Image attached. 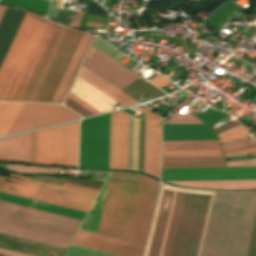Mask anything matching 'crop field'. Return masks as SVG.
<instances>
[{
  "label": "crop field",
  "instance_id": "crop-field-1",
  "mask_svg": "<svg viewBox=\"0 0 256 256\" xmlns=\"http://www.w3.org/2000/svg\"><path fill=\"white\" fill-rule=\"evenodd\" d=\"M56 27L26 13L0 67V100L21 101ZM61 27H57L22 100H52L82 36Z\"/></svg>",
  "mask_w": 256,
  "mask_h": 256
},
{
  "label": "crop field",
  "instance_id": "crop-field-2",
  "mask_svg": "<svg viewBox=\"0 0 256 256\" xmlns=\"http://www.w3.org/2000/svg\"><path fill=\"white\" fill-rule=\"evenodd\" d=\"M110 174L80 229L96 233ZM141 176L111 173L98 234L126 240ZM160 183L142 177L127 241L145 245Z\"/></svg>",
  "mask_w": 256,
  "mask_h": 256
},
{
  "label": "crop field",
  "instance_id": "crop-field-3",
  "mask_svg": "<svg viewBox=\"0 0 256 256\" xmlns=\"http://www.w3.org/2000/svg\"><path fill=\"white\" fill-rule=\"evenodd\" d=\"M213 194L162 185L145 256H199Z\"/></svg>",
  "mask_w": 256,
  "mask_h": 256
},
{
  "label": "crop field",
  "instance_id": "crop-field-4",
  "mask_svg": "<svg viewBox=\"0 0 256 256\" xmlns=\"http://www.w3.org/2000/svg\"><path fill=\"white\" fill-rule=\"evenodd\" d=\"M256 193L215 192L200 256H245ZM256 256V216L246 252Z\"/></svg>",
  "mask_w": 256,
  "mask_h": 256
},
{
  "label": "crop field",
  "instance_id": "crop-field-5",
  "mask_svg": "<svg viewBox=\"0 0 256 256\" xmlns=\"http://www.w3.org/2000/svg\"><path fill=\"white\" fill-rule=\"evenodd\" d=\"M0 220L73 237L81 221L0 201ZM0 221V232L67 248L71 238Z\"/></svg>",
  "mask_w": 256,
  "mask_h": 256
},
{
  "label": "crop field",
  "instance_id": "crop-field-6",
  "mask_svg": "<svg viewBox=\"0 0 256 256\" xmlns=\"http://www.w3.org/2000/svg\"><path fill=\"white\" fill-rule=\"evenodd\" d=\"M128 114H111L109 169H126ZM145 115L140 117L139 171L143 172ZM159 121L146 115L144 172L157 177ZM139 119L135 118L133 170L138 171Z\"/></svg>",
  "mask_w": 256,
  "mask_h": 256
},
{
  "label": "crop field",
  "instance_id": "crop-field-7",
  "mask_svg": "<svg viewBox=\"0 0 256 256\" xmlns=\"http://www.w3.org/2000/svg\"><path fill=\"white\" fill-rule=\"evenodd\" d=\"M10 177L25 180L27 182L9 178L19 184L7 182V177L0 176V192L37 201L55 204L87 212L98 190L64 182L62 186L20 177L10 174Z\"/></svg>",
  "mask_w": 256,
  "mask_h": 256
},
{
  "label": "crop field",
  "instance_id": "crop-field-8",
  "mask_svg": "<svg viewBox=\"0 0 256 256\" xmlns=\"http://www.w3.org/2000/svg\"><path fill=\"white\" fill-rule=\"evenodd\" d=\"M22 105L0 102V136H6ZM78 118L62 105L24 103L7 136Z\"/></svg>",
  "mask_w": 256,
  "mask_h": 256
},
{
  "label": "crop field",
  "instance_id": "crop-field-9",
  "mask_svg": "<svg viewBox=\"0 0 256 256\" xmlns=\"http://www.w3.org/2000/svg\"><path fill=\"white\" fill-rule=\"evenodd\" d=\"M78 121L37 131L36 163L77 167Z\"/></svg>",
  "mask_w": 256,
  "mask_h": 256
},
{
  "label": "crop field",
  "instance_id": "crop-field-10",
  "mask_svg": "<svg viewBox=\"0 0 256 256\" xmlns=\"http://www.w3.org/2000/svg\"><path fill=\"white\" fill-rule=\"evenodd\" d=\"M214 173H256V168H196L165 169L164 174H214ZM256 178V174H214V175H164V180L190 179H242ZM175 185L210 189H256V179L243 180H190L166 181Z\"/></svg>",
  "mask_w": 256,
  "mask_h": 256
},
{
  "label": "crop field",
  "instance_id": "crop-field-11",
  "mask_svg": "<svg viewBox=\"0 0 256 256\" xmlns=\"http://www.w3.org/2000/svg\"><path fill=\"white\" fill-rule=\"evenodd\" d=\"M110 114L81 121L79 167L108 169Z\"/></svg>",
  "mask_w": 256,
  "mask_h": 256
},
{
  "label": "crop field",
  "instance_id": "crop-field-12",
  "mask_svg": "<svg viewBox=\"0 0 256 256\" xmlns=\"http://www.w3.org/2000/svg\"><path fill=\"white\" fill-rule=\"evenodd\" d=\"M93 47L83 66L119 90L140 77Z\"/></svg>",
  "mask_w": 256,
  "mask_h": 256
},
{
  "label": "crop field",
  "instance_id": "crop-field-13",
  "mask_svg": "<svg viewBox=\"0 0 256 256\" xmlns=\"http://www.w3.org/2000/svg\"><path fill=\"white\" fill-rule=\"evenodd\" d=\"M72 244L119 256H142L145 247L81 230H78Z\"/></svg>",
  "mask_w": 256,
  "mask_h": 256
},
{
  "label": "crop field",
  "instance_id": "crop-field-14",
  "mask_svg": "<svg viewBox=\"0 0 256 256\" xmlns=\"http://www.w3.org/2000/svg\"><path fill=\"white\" fill-rule=\"evenodd\" d=\"M70 93L101 113L113 110L111 105L118 104L80 77H77Z\"/></svg>",
  "mask_w": 256,
  "mask_h": 256
},
{
  "label": "crop field",
  "instance_id": "crop-field-15",
  "mask_svg": "<svg viewBox=\"0 0 256 256\" xmlns=\"http://www.w3.org/2000/svg\"><path fill=\"white\" fill-rule=\"evenodd\" d=\"M93 38L94 36L92 35L83 34V37L51 103L63 102Z\"/></svg>",
  "mask_w": 256,
  "mask_h": 256
},
{
  "label": "crop field",
  "instance_id": "crop-field-16",
  "mask_svg": "<svg viewBox=\"0 0 256 256\" xmlns=\"http://www.w3.org/2000/svg\"><path fill=\"white\" fill-rule=\"evenodd\" d=\"M163 140H218L205 125H163Z\"/></svg>",
  "mask_w": 256,
  "mask_h": 256
},
{
  "label": "crop field",
  "instance_id": "crop-field-17",
  "mask_svg": "<svg viewBox=\"0 0 256 256\" xmlns=\"http://www.w3.org/2000/svg\"><path fill=\"white\" fill-rule=\"evenodd\" d=\"M227 167L223 157L163 158L162 168Z\"/></svg>",
  "mask_w": 256,
  "mask_h": 256
},
{
  "label": "crop field",
  "instance_id": "crop-field-18",
  "mask_svg": "<svg viewBox=\"0 0 256 256\" xmlns=\"http://www.w3.org/2000/svg\"><path fill=\"white\" fill-rule=\"evenodd\" d=\"M78 76H80L87 82L91 83L92 85H94L95 87H97L98 89H100L101 91H103L104 93H106L107 95L117 100L118 102H120L126 107L134 104H138L137 101L125 95L124 93L120 92L119 90H117L116 88H114L113 86L105 82L104 80H102L100 77H98L97 75H95L94 73L86 69L85 67H82Z\"/></svg>",
  "mask_w": 256,
  "mask_h": 256
},
{
  "label": "crop field",
  "instance_id": "crop-field-19",
  "mask_svg": "<svg viewBox=\"0 0 256 256\" xmlns=\"http://www.w3.org/2000/svg\"><path fill=\"white\" fill-rule=\"evenodd\" d=\"M36 131L18 136L17 162L35 163Z\"/></svg>",
  "mask_w": 256,
  "mask_h": 256
},
{
  "label": "crop field",
  "instance_id": "crop-field-20",
  "mask_svg": "<svg viewBox=\"0 0 256 256\" xmlns=\"http://www.w3.org/2000/svg\"><path fill=\"white\" fill-rule=\"evenodd\" d=\"M163 150H221L218 141H163Z\"/></svg>",
  "mask_w": 256,
  "mask_h": 256
},
{
  "label": "crop field",
  "instance_id": "crop-field-21",
  "mask_svg": "<svg viewBox=\"0 0 256 256\" xmlns=\"http://www.w3.org/2000/svg\"><path fill=\"white\" fill-rule=\"evenodd\" d=\"M122 92L128 94L132 98H137L141 94H146L149 97L155 99L157 97H160L162 95H166L164 92L153 86L152 84L146 82L141 77L126 86L121 90Z\"/></svg>",
  "mask_w": 256,
  "mask_h": 256
},
{
  "label": "crop field",
  "instance_id": "crop-field-22",
  "mask_svg": "<svg viewBox=\"0 0 256 256\" xmlns=\"http://www.w3.org/2000/svg\"><path fill=\"white\" fill-rule=\"evenodd\" d=\"M47 1L50 2L51 0H47ZM47 1L45 0H0V3L26 7L28 9H31L46 15L49 4H50Z\"/></svg>",
  "mask_w": 256,
  "mask_h": 256
},
{
  "label": "crop field",
  "instance_id": "crop-field-23",
  "mask_svg": "<svg viewBox=\"0 0 256 256\" xmlns=\"http://www.w3.org/2000/svg\"><path fill=\"white\" fill-rule=\"evenodd\" d=\"M6 167L11 170L22 172V173H33V172L59 173V171L61 170V168L31 167V166H17V165H6Z\"/></svg>",
  "mask_w": 256,
  "mask_h": 256
},
{
  "label": "crop field",
  "instance_id": "crop-field-24",
  "mask_svg": "<svg viewBox=\"0 0 256 256\" xmlns=\"http://www.w3.org/2000/svg\"><path fill=\"white\" fill-rule=\"evenodd\" d=\"M65 256H114V255L70 245Z\"/></svg>",
  "mask_w": 256,
  "mask_h": 256
},
{
  "label": "crop field",
  "instance_id": "crop-field-25",
  "mask_svg": "<svg viewBox=\"0 0 256 256\" xmlns=\"http://www.w3.org/2000/svg\"><path fill=\"white\" fill-rule=\"evenodd\" d=\"M185 120V121H183ZM165 124H203L192 115L172 116L169 117Z\"/></svg>",
  "mask_w": 256,
  "mask_h": 256
},
{
  "label": "crop field",
  "instance_id": "crop-field-26",
  "mask_svg": "<svg viewBox=\"0 0 256 256\" xmlns=\"http://www.w3.org/2000/svg\"><path fill=\"white\" fill-rule=\"evenodd\" d=\"M254 144H255V142H254L253 138H250V139L222 145L221 147H222V150L225 151V150L235 149V148H239V147L254 145Z\"/></svg>",
  "mask_w": 256,
  "mask_h": 256
},
{
  "label": "crop field",
  "instance_id": "crop-field-27",
  "mask_svg": "<svg viewBox=\"0 0 256 256\" xmlns=\"http://www.w3.org/2000/svg\"><path fill=\"white\" fill-rule=\"evenodd\" d=\"M65 106H67L68 108L72 109L73 111H75L76 113L80 114L81 116L85 117V116H89V115H93L91 112L87 111L86 109H84L83 107L79 106L78 104H76L75 102L71 101L70 99H67Z\"/></svg>",
  "mask_w": 256,
  "mask_h": 256
},
{
  "label": "crop field",
  "instance_id": "crop-field-28",
  "mask_svg": "<svg viewBox=\"0 0 256 256\" xmlns=\"http://www.w3.org/2000/svg\"><path fill=\"white\" fill-rule=\"evenodd\" d=\"M222 113L223 112L216 111V110L210 108V109L206 110L205 112H203L202 114H200L197 117L200 118L202 121H204L206 123V122L212 120L213 118L217 117L218 115H220Z\"/></svg>",
  "mask_w": 256,
  "mask_h": 256
},
{
  "label": "crop field",
  "instance_id": "crop-field-29",
  "mask_svg": "<svg viewBox=\"0 0 256 256\" xmlns=\"http://www.w3.org/2000/svg\"><path fill=\"white\" fill-rule=\"evenodd\" d=\"M245 137H249V134L245 130H243V131L234 133L232 135L220 138L219 140H220V143L222 144V143L234 141V140L245 138Z\"/></svg>",
  "mask_w": 256,
  "mask_h": 256
},
{
  "label": "crop field",
  "instance_id": "crop-field-30",
  "mask_svg": "<svg viewBox=\"0 0 256 256\" xmlns=\"http://www.w3.org/2000/svg\"><path fill=\"white\" fill-rule=\"evenodd\" d=\"M228 166H256V159L227 162Z\"/></svg>",
  "mask_w": 256,
  "mask_h": 256
},
{
  "label": "crop field",
  "instance_id": "crop-field-31",
  "mask_svg": "<svg viewBox=\"0 0 256 256\" xmlns=\"http://www.w3.org/2000/svg\"><path fill=\"white\" fill-rule=\"evenodd\" d=\"M222 153L221 151H163V154Z\"/></svg>",
  "mask_w": 256,
  "mask_h": 256
},
{
  "label": "crop field",
  "instance_id": "crop-field-32",
  "mask_svg": "<svg viewBox=\"0 0 256 256\" xmlns=\"http://www.w3.org/2000/svg\"><path fill=\"white\" fill-rule=\"evenodd\" d=\"M71 12L72 11L60 9L57 20L67 24L69 17L71 15Z\"/></svg>",
  "mask_w": 256,
  "mask_h": 256
},
{
  "label": "crop field",
  "instance_id": "crop-field-33",
  "mask_svg": "<svg viewBox=\"0 0 256 256\" xmlns=\"http://www.w3.org/2000/svg\"><path fill=\"white\" fill-rule=\"evenodd\" d=\"M68 98H70L71 100L75 101L76 103H78L79 105L83 106L84 108H86L87 110L91 111L94 114H98L99 113L98 111H96L95 109H93L89 105L85 104L84 102H82L81 100H79L78 98L73 96L72 94H69Z\"/></svg>",
  "mask_w": 256,
  "mask_h": 256
},
{
  "label": "crop field",
  "instance_id": "crop-field-34",
  "mask_svg": "<svg viewBox=\"0 0 256 256\" xmlns=\"http://www.w3.org/2000/svg\"><path fill=\"white\" fill-rule=\"evenodd\" d=\"M150 82H152L153 84H155V85H157L158 87H163V86H165V85H167V84H169V83H171V82H169L167 79H165L164 77H162V76H157L155 79H153L152 81H150Z\"/></svg>",
  "mask_w": 256,
  "mask_h": 256
},
{
  "label": "crop field",
  "instance_id": "crop-field-35",
  "mask_svg": "<svg viewBox=\"0 0 256 256\" xmlns=\"http://www.w3.org/2000/svg\"><path fill=\"white\" fill-rule=\"evenodd\" d=\"M223 156L222 154L163 155V157Z\"/></svg>",
  "mask_w": 256,
  "mask_h": 256
},
{
  "label": "crop field",
  "instance_id": "crop-field-36",
  "mask_svg": "<svg viewBox=\"0 0 256 256\" xmlns=\"http://www.w3.org/2000/svg\"><path fill=\"white\" fill-rule=\"evenodd\" d=\"M237 125H239V123H238L237 120H236V121H234V122H232V123L226 125L225 127L221 128V129H219V130H217L216 132H217V134H219V133H221V132H223V131H226V130H228V129L232 128V127H235V126H237Z\"/></svg>",
  "mask_w": 256,
  "mask_h": 256
},
{
  "label": "crop field",
  "instance_id": "crop-field-37",
  "mask_svg": "<svg viewBox=\"0 0 256 256\" xmlns=\"http://www.w3.org/2000/svg\"><path fill=\"white\" fill-rule=\"evenodd\" d=\"M228 116H229V115H227V114L224 113V114L218 116L217 118L213 119L212 121H210V122H208V123H206V124H208L209 126H211V125H213V124L219 122L220 120H222V119H224V118H226V117H228Z\"/></svg>",
  "mask_w": 256,
  "mask_h": 256
},
{
  "label": "crop field",
  "instance_id": "crop-field-38",
  "mask_svg": "<svg viewBox=\"0 0 256 256\" xmlns=\"http://www.w3.org/2000/svg\"><path fill=\"white\" fill-rule=\"evenodd\" d=\"M193 96H189L183 103H181L175 110L174 114H177L191 99Z\"/></svg>",
  "mask_w": 256,
  "mask_h": 256
},
{
  "label": "crop field",
  "instance_id": "crop-field-39",
  "mask_svg": "<svg viewBox=\"0 0 256 256\" xmlns=\"http://www.w3.org/2000/svg\"><path fill=\"white\" fill-rule=\"evenodd\" d=\"M0 253L10 255V256H28V255H23V254H19V253L7 251V250H2V249H0Z\"/></svg>",
  "mask_w": 256,
  "mask_h": 256
},
{
  "label": "crop field",
  "instance_id": "crop-field-40",
  "mask_svg": "<svg viewBox=\"0 0 256 256\" xmlns=\"http://www.w3.org/2000/svg\"><path fill=\"white\" fill-rule=\"evenodd\" d=\"M81 16H82V12H77V15H76V18L74 20V23H73V26L75 27H79V23H80V20H81Z\"/></svg>",
  "mask_w": 256,
  "mask_h": 256
},
{
  "label": "crop field",
  "instance_id": "crop-field-41",
  "mask_svg": "<svg viewBox=\"0 0 256 256\" xmlns=\"http://www.w3.org/2000/svg\"><path fill=\"white\" fill-rule=\"evenodd\" d=\"M251 148H256V145L249 146V147H244V148H240V149H235V150H230V151H225L223 153L226 154V153H231V152H236V151H241V150H246V149H251Z\"/></svg>",
  "mask_w": 256,
  "mask_h": 256
},
{
  "label": "crop field",
  "instance_id": "crop-field-42",
  "mask_svg": "<svg viewBox=\"0 0 256 256\" xmlns=\"http://www.w3.org/2000/svg\"><path fill=\"white\" fill-rule=\"evenodd\" d=\"M249 152H256V149H251V150H246V151H241V152L226 154V155H224V156L235 155V154H242V153H249Z\"/></svg>",
  "mask_w": 256,
  "mask_h": 256
},
{
  "label": "crop field",
  "instance_id": "crop-field-43",
  "mask_svg": "<svg viewBox=\"0 0 256 256\" xmlns=\"http://www.w3.org/2000/svg\"><path fill=\"white\" fill-rule=\"evenodd\" d=\"M5 11H6L5 7H0V21H1L2 17H3V15H4Z\"/></svg>",
  "mask_w": 256,
  "mask_h": 256
},
{
  "label": "crop field",
  "instance_id": "crop-field-44",
  "mask_svg": "<svg viewBox=\"0 0 256 256\" xmlns=\"http://www.w3.org/2000/svg\"><path fill=\"white\" fill-rule=\"evenodd\" d=\"M86 25L101 27V25H102V24L87 22V24H86Z\"/></svg>",
  "mask_w": 256,
  "mask_h": 256
},
{
  "label": "crop field",
  "instance_id": "crop-field-45",
  "mask_svg": "<svg viewBox=\"0 0 256 256\" xmlns=\"http://www.w3.org/2000/svg\"><path fill=\"white\" fill-rule=\"evenodd\" d=\"M240 130H243V127L239 128V129H237V130H234V131H232V132H229V133H227V134H225V135H222V136H220V137L229 135V134H231V133H234V132H237V131H240ZM220 137H219V138H220Z\"/></svg>",
  "mask_w": 256,
  "mask_h": 256
},
{
  "label": "crop field",
  "instance_id": "crop-field-46",
  "mask_svg": "<svg viewBox=\"0 0 256 256\" xmlns=\"http://www.w3.org/2000/svg\"><path fill=\"white\" fill-rule=\"evenodd\" d=\"M239 127H241V125H239V126H237V127H235V128H232V129H230V130H228V131H226V132H223V133L219 134L218 136H220V135H222V134H224V133H227V132H229V131H232V130H234V129H236V128H239Z\"/></svg>",
  "mask_w": 256,
  "mask_h": 256
},
{
  "label": "crop field",
  "instance_id": "crop-field-47",
  "mask_svg": "<svg viewBox=\"0 0 256 256\" xmlns=\"http://www.w3.org/2000/svg\"><path fill=\"white\" fill-rule=\"evenodd\" d=\"M5 256V255H4Z\"/></svg>",
  "mask_w": 256,
  "mask_h": 256
}]
</instances>
